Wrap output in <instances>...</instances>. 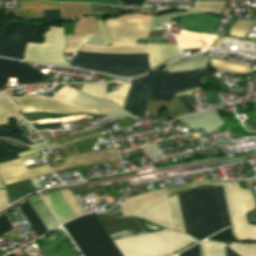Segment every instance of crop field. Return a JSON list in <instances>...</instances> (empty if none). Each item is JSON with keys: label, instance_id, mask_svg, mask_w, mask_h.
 Segmentation results:
<instances>
[{"label": "crop field", "instance_id": "1", "mask_svg": "<svg viewBox=\"0 0 256 256\" xmlns=\"http://www.w3.org/2000/svg\"><path fill=\"white\" fill-rule=\"evenodd\" d=\"M149 21L134 20L106 23L112 46L85 44L79 51L97 53H148L147 45H137V38H146ZM150 69L178 57L173 46L148 45ZM77 52L70 65L114 75H136L149 70L148 54L117 55Z\"/></svg>", "mask_w": 256, "mask_h": 256}, {"label": "crop field", "instance_id": "2", "mask_svg": "<svg viewBox=\"0 0 256 256\" xmlns=\"http://www.w3.org/2000/svg\"><path fill=\"white\" fill-rule=\"evenodd\" d=\"M178 198L187 234L203 240L224 229L215 187L200 186Z\"/></svg>", "mask_w": 256, "mask_h": 256}, {"label": "crop field", "instance_id": "3", "mask_svg": "<svg viewBox=\"0 0 256 256\" xmlns=\"http://www.w3.org/2000/svg\"><path fill=\"white\" fill-rule=\"evenodd\" d=\"M83 256H122L94 214L63 225Z\"/></svg>", "mask_w": 256, "mask_h": 256}, {"label": "crop field", "instance_id": "4", "mask_svg": "<svg viewBox=\"0 0 256 256\" xmlns=\"http://www.w3.org/2000/svg\"><path fill=\"white\" fill-rule=\"evenodd\" d=\"M194 242L195 239L170 230L114 241L123 256H165Z\"/></svg>", "mask_w": 256, "mask_h": 256}, {"label": "crop field", "instance_id": "5", "mask_svg": "<svg viewBox=\"0 0 256 256\" xmlns=\"http://www.w3.org/2000/svg\"><path fill=\"white\" fill-rule=\"evenodd\" d=\"M204 72H211L209 68L170 74L166 69L156 74L149 101H170L176 93L200 88L197 78ZM189 113L196 112L191 101L185 96L177 97Z\"/></svg>", "mask_w": 256, "mask_h": 256}, {"label": "crop field", "instance_id": "6", "mask_svg": "<svg viewBox=\"0 0 256 256\" xmlns=\"http://www.w3.org/2000/svg\"><path fill=\"white\" fill-rule=\"evenodd\" d=\"M123 216L138 218L174 228L166 190L136 196L121 203Z\"/></svg>", "mask_w": 256, "mask_h": 256}, {"label": "crop field", "instance_id": "7", "mask_svg": "<svg viewBox=\"0 0 256 256\" xmlns=\"http://www.w3.org/2000/svg\"><path fill=\"white\" fill-rule=\"evenodd\" d=\"M65 43L63 29L49 26L43 44H27L25 60L68 65L62 53Z\"/></svg>", "mask_w": 256, "mask_h": 256}, {"label": "crop field", "instance_id": "8", "mask_svg": "<svg viewBox=\"0 0 256 256\" xmlns=\"http://www.w3.org/2000/svg\"><path fill=\"white\" fill-rule=\"evenodd\" d=\"M40 24L25 25L9 21L2 34L1 56L24 59L27 42H34L41 29Z\"/></svg>", "mask_w": 256, "mask_h": 256}, {"label": "crop field", "instance_id": "9", "mask_svg": "<svg viewBox=\"0 0 256 256\" xmlns=\"http://www.w3.org/2000/svg\"><path fill=\"white\" fill-rule=\"evenodd\" d=\"M21 106L22 113L30 112H55V113H73V112H87L102 114L97 109L81 107L73 103L53 99L50 97L29 94L24 97H13Z\"/></svg>", "mask_w": 256, "mask_h": 256}, {"label": "crop field", "instance_id": "10", "mask_svg": "<svg viewBox=\"0 0 256 256\" xmlns=\"http://www.w3.org/2000/svg\"><path fill=\"white\" fill-rule=\"evenodd\" d=\"M196 185L224 186L232 224H247L241 190L237 182H201L195 184L182 185L171 188L169 190V194L187 188H191Z\"/></svg>", "mask_w": 256, "mask_h": 256}, {"label": "crop field", "instance_id": "11", "mask_svg": "<svg viewBox=\"0 0 256 256\" xmlns=\"http://www.w3.org/2000/svg\"><path fill=\"white\" fill-rule=\"evenodd\" d=\"M9 76L16 78L15 84L43 82L45 74L23 64L0 60V87L7 86Z\"/></svg>", "mask_w": 256, "mask_h": 256}, {"label": "crop field", "instance_id": "12", "mask_svg": "<svg viewBox=\"0 0 256 256\" xmlns=\"http://www.w3.org/2000/svg\"><path fill=\"white\" fill-rule=\"evenodd\" d=\"M45 173H51L46 165L27 170L20 159L0 164V177L4 185Z\"/></svg>", "mask_w": 256, "mask_h": 256}, {"label": "crop field", "instance_id": "13", "mask_svg": "<svg viewBox=\"0 0 256 256\" xmlns=\"http://www.w3.org/2000/svg\"><path fill=\"white\" fill-rule=\"evenodd\" d=\"M114 161L117 160L114 153V149L111 148L103 151L91 152L87 154L70 157L66 161H64L60 167L52 168V170L58 171L66 168L90 164L109 163Z\"/></svg>", "mask_w": 256, "mask_h": 256}, {"label": "crop field", "instance_id": "14", "mask_svg": "<svg viewBox=\"0 0 256 256\" xmlns=\"http://www.w3.org/2000/svg\"><path fill=\"white\" fill-rule=\"evenodd\" d=\"M218 21L219 18L208 14H196L181 17L179 23L186 30L214 34Z\"/></svg>", "mask_w": 256, "mask_h": 256}, {"label": "crop field", "instance_id": "15", "mask_svg": "<svg viewBox=\"0 0 256 256\" xmlns=\"http://www.w3.org/2000/svg\"><path fill=\"white\" fill-rule=\"evenodd\" d=\"M20 11L60 9L59 3L39 0L18 1ZM21 18H44L42 11L20 12Z\"/></svg>", "mask_w": 256, "mask_h": 256}, {"label": "crop field", "instance_id": "16", "mask_svg": "<svg viewBox=\"0 0 256 256\" xmlns=\"http://www.w3.org/2000/svg\"><path fill=\"white\" fill-rule=\"evenodd\" d=\"M96 217L101 222L108 234L126 228L127 231L143 232L137 222L131 219L114 218L105 215L96 214Z\"/></svg>", "mask_w": 256, "mask_h": 256}, {"label": "crop field", "instance_id": "17", "mask_svg": "<svg viewBox=\"0 0 256 256\" xmlns=\"http://www.w3.org/2000/svg\"><path fill=\"white\" fill-rule=\"evenodd\" d=\"M44 199L49 204L55 215L58 217L60 222H65L68 219L74 217V214L65 203L59 192L48 194L44 196Z\"/></svg>", "mask_w": 256, "mask_h": 256}, {"label": "crop field", "instance_id": "18", "mask_svg": "<svg viewBox=\"0 0 256 256\" xmlns=\"http://www.w3.org/2000/svg\"><path fill=\"white\" fill-rule=\"evenodd\" d=\"M73 103L83 105V106H86V107L98 108L99 111H101L104 114L110 113V112H113V111H116V110H120V108H118L117 106L113 105L112 103H110L108 101H103V100H99V99L90 98V97H88L86 95H83L81 93L75 98Z\"/></svg>", "mask_w": 256, "mask_h": 256}, {"label": "crop field", "instance_id": "19", "mask_svg": "<svg viewBox=\"0 0 256 256\" xmlns=\"http://www.w3.org/2000/svg\"><path fill=\"white\" fill-rule=\"evenodd\" d=\"M11 118L16 121L23 120L18 111V106L9 97H6L0 102V124L6 123Z\"/></svg>", "mask_w": 256, "mask_h": 256}, {"label": "crop field", "instance_id": "20", "mask_svg": "<svg viewBox=\"0 0 256 256\" xmlns=\"http://www.w3.org/2000/svg\"><path fill=\"white\" fill-rule=\"evenodd\" d=\"M145 78L132 81V84L125 102V106H124V109L126 111L134 113L136 106L138 104V100L142 91L143 84L145 82Z\"/></svg>", "mask_w": 256, "mask_h": 256}, {"label": "crop field", "instance_id": "21", "mask_svg": "<svg viewBox=\"0 0 256 256\" xmlns=\"http://www.w3.org/2000/svg\"><path fill=\"white\" fill-rule=\"evenodd\" d=\"M63 20L73 19L81 15L90 14L89 4L61 3Z\"/></svg>", "mask_w": 256, "mask_h": 256}, {"label": "crop field", "instance_id": "22", "mask_svg": "<svg viewBox=\"0 0 256 256\" xmlns=\"http://www.w3.org/2000/svg\"><path fill=\"white\" fill-rule=\"evenodd\" d=\"M211 65L218 70H222L228 73H237L241 75H247L254 71L253 69L245 65H240L232 62H225L216 59H211Z\"/></svg>", "mask_w": 256, "mask_h": 256}, {"label": "crop field", "instance_id": "23", "mask_svg": "<svg viewBox=\"0 0 256 256\" xmlns=\"http://www.w3.org/2000/svg\"><path fill=\"white\" fill-rule=\"evenodd\" d=\"M28 221L31 224L32 229L35 231L37 237L43 235L45 232H47V229L39 219V217L36 215L32 207L29 205V203H25L21 206H19Z\"/></svg>", "mask_w": 256, "mask_h": 256}, {"label": "crop field", "instance_id": "24", "mask_svg": "<svg viewBox=\"0 0 256 256\" xmlns=\"http://www.w3.org/2000/svg\"><path fill=\"white\" fill-rule=\"evenodd\" d=\"M44 225L48 228L58 223L56 219L53 217L49 209L46 207L42 199L30 202Z\"/></svg>", "mask_w": 256, "mask_h": 256}, {"label": "crop field", "instance_id": "25", "mask_svg": "<svg viewBox=\"0 0 256 256\" xmlns=\"http://www.w3.org/2000/svg\"><path fill=\"white\" fill-rule=\"evenodd\" d=\"M200 36V33L183 31L177 40L181 49L197 48Z\"/></svg>", "mask_w": 256, "mask_h": 256}, {"label": "crop field", "instance_id": "26", "mask_svg": "<svg viewBox=\"0 0 256 256\" xmlns=\"http://www.w3.org/2000/svg\"><path fill=\"white\" fill-rule=\"evenodd\" d=\"M256 21L238 20L233 24L230 35L234 37L246 38Z\"/></svg>", "mask_w": 256, "mask_h": 256}, {"label": "crop field", "instance_id": "27", "mask_svg": "<svg viewBox=\"0 0 256 256\" xmlns=\"http://www.w3.org/2000/svg\"><path fill=\"white\" fill-rule=\"evenodd\" d=\"M93 34L67 35L68 45L64 52L75 53L77 49L87 42Z\"/></svg>", "mask_w": 256, "mask_h": 256}, {"label": "crop field", "instance_id": "28", "mask_svg": "<svg viewBox=\"0 0 256 256\" xmlns=\"http://www.w3.org/2000/svg\"><path fill=\"white\" fill-rule=\"evenodd\" d=\"M201 256H224V245L211 242H202Z\"/></svg>", "mask_w": 256, "mask_h": 256}, {"label": "crop field", "instance_id": "29", "mask_svg": "<svg viewBox=\"0 0 256 256\" xmlns=\"http://www.w3.org/2000/svg\"><path fill=\"white\" fill-rule=\"evenodd\" d=\"M169 201H170L172 215L175 222L176 231L185 232L177 196H173L169 198Z\"/></svg>", "mask_w": 256, "mask_h": 256}, {"label": "crop field", "instance_id": "30", "mask_svg": "<svg viewBox=\"0 0 256 256\" xmlns=\"http://www.w3.org/2000/svg\"><path fill=\"white\" fill-rule=\"evenodd\" d=\"M107 83L103 84H84L81 91L95 97L103 98L105 97ZM80 91V92H81Z\"/></svg>", "mask_w": 256, "mask_h": 256}, {"label": "crop field", "instance_id": "31", "mask_svg": "<svg viewBox=\"0 0 256 256\" xmlns=\"http://www.w3.org/2000/svg\"><path fill=\"white\" fill-rule=\"evenodd\" d=\"M60 194L62 195L66 203L69 205L75 216L83 214V211L80 205L78 204L75 196L72 195L69 189L60 191Z\"/></svg>", "mask_w": 256, "mask_h": 256}, {"label": "crop field", "instance_id": "32", "mask_svg": "<svg viewBox=\"0 0 256 256\" xmlns=\"http://www.w3.org/2000/svg\"><path fill=\"white\" fill-rule=\"evenodd\" d=\"M216 189H217V193H218V198H219V203H220V207H221L224 226L227 227V226H230L231 223H230L228 208H227V204H226L224 189H223V187H216Z\"/></svg>", "mask_w": 256, "mask_h": 256}, {"label": "crop field", "instance_id": "33", "mask_svg": "<svg viewBox=\"0 0 256 256\" xmlns=\"http://www.w3.org/2000/svg\"><path fill=\"white\" fill-rule=\"evenodd\" d=\"M230 246L242 256H256V244H236L232 242Z\"/></svg>", "mask_w": 256, "mask_h": 256}, {"label": "crop field", "instance_id": "34", "mask_svg": "<svg viewBox=\"0 0 256 256\" xmlns=\"http://www.w3.org/2000/svg\"><path fill=\"white\" fill-rule=\"evenodd\" d=\"M78 94L79 91L64 85L53 97L72 102Z\"/></svg>", "mask_w": 256, "mask_h": 256}, {"label": "crop field", "instance_id": "35", "mask_svg": "<svg viewBox=\"0 0 256 256\" xmlns=\"http://www.w3.org/2000/svg\"><path fill=\"white\" fill-rule=\"evenodd\" d=\"M130 83H128L126 85L123 84V89H122L121 93H107L106 98L113 101L114 103H116L120 107H123V104H124V101H125Z\"/></svg>", "mask_w": 256, "mask_h": 256}, {"label": "crop field", "instance_id": "36", "mask_svg": "<svg viewBox=\"0 0 256 256\" xmlns=\"http://www.w3.org/2000/svg\"><path fill=\"white\" fill-rule=\"evenodd\" d=\"M224 2H195L194 8L216 12L219 14Z\"/></svg>", "mask_w": 256, "mask_h": 256}, {"label": "crop field", "instance_id": "37", "mask_svg": "<svg viewBox=\"0 0 256 256\" xmlns=\"http://www.w3.org/2000/svg\"><path fill=\"white\" fill-rule=\"evenodd\" d=\"M85 19H86V23H87V27H88L89 33H92V31H93V33H96L93 16H90V17H89L90 23H91V27H92V31H91V27H90V23H89L88 17H85ZM85 19H84V17L82 18V21H83V29H84V33H88L87 27H86V23H85ZM80 21H81V18H80ZM95 24H96V22H95ZM81 29H82V22H81ZM96 30H97V33H99L97 26H96ZM74 33H75V34L81 33L79 20H78V22H77V24H76V26H75ZM82 33H83V30H82Z\"/></svg>", "mask_w": 256, "mask_h": 256}, {"label": "crop field", "instance_id": "38", "mask_svg": "<svg viewBox=\"0 0 256 256\" xmlns=\"http://www.w3.org/2000/svg\"><path fill=\"white\" fill-rule=\"evenodd\" d=\"M151 88L152 87L144 86V89H143V92H142V95L140 97L139 104H138V107H137V110H136V114H139V115L142 116L143 111H144V109L146 107V104L148 102V98H149Z\"/></svg>", "mask_w": 256, "mask_h": 256}, {"label": "crop field", "instance_id": "39", "mask_svg": "<svg viewBox=\"0 0 256 256\" xmlns=\"http://www.w3.org/2000/svg\"><path fill=\"white\" fill-rule=\"evenodd\" d=\"M232 234L236 239L249 240L248 226H236L232 229Z\"/></svg>", "mask_w": 256, "mask_h": 256}, {"label": "crop field", "instance_id": "40", "mask_svg": "<svg viewBox=\"0 0 256 256\" xmlns=\"http://www.w3.org/2000/svg\"><path fill=\"white\" fill-rule=\"evenodd\" d=\"M241 190H242V194H243L245 211H246V214H247L248 212H250L251 210L256 208V206H255V203H254L253 196L249 192V190H244V189H241Z\"/></svg>", "mask_w": 256, "mask_h": 256}, {"label": "crop field", "instance_id": "41", "mask_svg": "<svg viewBox=\"0 0 256 256\" xmlns=\"http://www.w3.org/2000/svg\"><path fill=\"white\" fill-rule=\"evenodd\" d=\"M102 45L111 44L108 30L103 21H97Z\"/></svg>", "mask_w": 256, "mask_h": 256}, {"label": "crop field", "instance_id": "42", "mask_svg": "<svg viewBox=\"0 0 256 256\" xmlns=\"http://www.w3.org/2000/svg\"><path fill=\"white\" fill-rule=\"evenodd\" d=\"M208 239L230 240V241H234V242H240L239 240H236L233 238V236L230 232V228L225 229V230L211 236Z\"/></svg>", "mask_w": 256, "mask_h": 256}, {"label": "crop field", "instance_id": "43", "mask_svg": "<svg viewBox=\"0 0 256 256\" xmlns=\"http://www.w3.org/2000/svg\"><path fill=\"white\" fill-rule=\"evenodd\" d=\"M0 137H9V138L18 140V141H20V142H22L24 144L33 145V143L31 141H29L28 139H26V138H24V137H22L20 135H17V134H14V133L2 130V129H0Z\"/></svg>", "mask_w": 256, "mask_h": 256}, {"label": "crop field", "instance_id": "44", "mask_svg": "<svg viewBox=\"0 0 256 256\" xmlns=\"http://www.w3.org/2000/svg\"><path fill=\"white\" fill-rule=\"evenodd\" d=\"M46 20L49 22H61L60 10L43 11Z\"/></svg>", "mask_w": 256, "mask_h": 256}, {"label": "crop field", "instance_id": "45", "mask_svg": "<svg viewBox=\"0 0 256 256\" xmlns=\"http://www.w3.org/2000/svg\"><path fill=\"white\" fill-rule=\"evenodd\" d=\"M91 10L124 13V8L91 4Z\"/></svg>", "mask_w": 256, "mask_h": 256}, {"label": "crop field", "instance_id": "46", "mask_svg": "<svg viewBox=\"0 0 256 256\" xmlns=\"http://www.w3.org/2000/svg\"><path fill=\"white\" fill-rule=\"evenodd\" d=\"M19 157L21 158V160L24 162L30 158H34V157H39L40 154L38 152V149L37 148H32V149H29L27 151H24L20 154H18Z\"/></svg>", "mask_w": 256, "mask_h": 256}, {"label": "crop field", "instance_id": "47", "mask_svg": "<svg viewBox=\"0 0 256 256\" xmlns=\"http://www.w3.org/2000/svg\"><path fill=\"white\" fill-rule=\"evenodd\" d=\"M12 228L13 226L7 220V215L5 214L1 216L0 217V236Z\"/></svg>", "mask_w": 256, "mask_h": 256}, {"label": "crop field", "instance_id": "48", "mask_svg": "<svg viewBox=\"0 0 256 256\" xmlns=\"http://www.w3.org/2000/svg\"><path fill=\"white\" fill-rule=\"evenodd\" d=\"M1 141L5 142L6 144L16 148L17 150H25L27 149L24 145L20 144L19 142L17 141H14V140H8V139H0ZM3 149H8L6 148L5 146L1 145L0 144V150H3Z\"/></svg>", "mask_w": 256, "mask_h": 256}, {"label": "crop field", "instance_id": "49", "mask_svg": "<svg viewBox=\"0 0 256 256\" xmlns=\"http://www.w3.org/2000/svg\"><path fill=\"white\" fill-rule=\"evenodd\" d=\"M51 1H70V2H89V3H99V4H114V0H51Z\"/></svg>", "mask_w": 256, "mask_h": 256}, {"label": "crop field", "instance_id": "50", "mask_svg": "<svg viewBox=\"0 0 256 256\" xmlns=\"http://www.w3.org/2000/svg\"><path fill=\"white\" fill-rule=\"evenodd\" d=\"M18 158V155L13 151H2L0 152V162L7 161L10 159Z\"/></svg>", "mask_w": 256, "mask_h": 256}, {"label": "crop field", "instance_id": "51", "mask_svg": "<svg viewBox=\"0 0 256 256\" xmlns=\"http://www.w3.org/2000/svg\"><path fill=\"white\" fill-rule=\"evenodd\" d=\"M179 256H198V244L183 251L182 253L179 254Z\"/></svg>", "mask_w": 256, "mask_h": 256}, {"label": "crop field", "instance_id": "52", "mask_svg": "<svg viewBox=\"0 0 256 256\" xmlns=\"http://www.w3.org/2000/svg\"><path fill=\"white\" fill-rule=\"evenodd\" d=\"M59 126H61V124L60 122H57V123H50V124L35 125L34 128H36L37 130H42V129H51Z\"/></svg>", "mask_w": 256, "mask_h": 256}, {"label": "crop field", "instance_id": "53", "mask_svg": "<svg viewBox=\"0 0 256 256\" xmlns=\"http://www.w3.org/2000/svg\"><path fill=\"white\" fill-rule=\"evenodd\" d=\"M101 133L98 132V133H95V134H92V135H89V136H85V137H82V138H79V139H76V140H73V141H70V142H66V143H63V144H60V145H56V147H63L67 144H70V143H74V142H77V141H80V140H85V139H89V137H96V136H100Z\"/></svg>", "mask_w": 256, "mask_h": 256}, {"label": "crop field", "instance_id": "54", "mask_svg": "<svg viewBox=\"0 0 256 256\" xmlns=\"http://www.w3.org/2000/svg\"><path fill=\"white\" fill-rule=\"evenodd\" d=\"M7 205H8V203H7L5 191L0 190V209L4 208Z\"/></svg>", "mask_w": 256, "mask_h": 256}, {"label": "crop field", "instance_id": "55", "mask_svg": "<svg viewBox=\"0 0 256 256\" xmlns=\"http://www.w3.org/2000/svg\"><path fill=\"white\" fill-rule=\"evenodd\" d=\"M121 1H123L127 5L142 6V4H143V0H121Z\"/></svg>", "mask_w": 256, "mask_h": 256}, {"label": "crop field", "instance_id": "56", "mask_svg": "<svg viewBox=\"0 0 256 256\" xmlns=\"http://www.w3.org/2000/svg\"><path fill=\"white\" fill-rule=\"evenodd\" d=\"M250 240H256V226H249Z\"/></svg>", "mask_w": 256, "mask_h": 256}, {"label": "crop field", "instance_id": "57", "mask_svg": "<svg viewBox=\"0 0 256 256\" xmlns=\"http://www.w3.org/2000/svg\"><path fill=\"white\" fill-rule=\"evenodd\" d=\"M225 256H239L233 250L225 246Z\"/></svg>", "mask_w": 256, "mask_h": 256}, {"label": "crop field", "instance_id": "58", "mask_svg": "<svg viewBox=\"0 0 256 256\" xmlns=\"http://www.w3.org/2000/svg\"><path fill=\"white\" fill-rule=\"evenodd\" d=\"M251 222H256V211L248 215Z\"/></svg>", "mask_w": 256, "mask_h": 256}, {"label": "crop field", "instance_id": "59", "mask_svg": "<svg viewBox=\"0 0 256 256\" xmlns=\"http://www.w3.org/2000/svg\"><path fill=\"white\" fill-rule=\"evenodd\" d=\"M5 97H6V96L0 94V101H1L2 99H4Z\"/></svg>", "mask_w": 256, "mask_h": 256}, {"label": "crop field", "instance_id": "60", "mask_svg": "<svg viewBox=\"0 0 256 256\" xmlns=\"http://www.w3.org/2000/svg\"><path fill=\"white\" fill-rule=\"evenodd\" d=\"M2 30H0V39H1Z\"/></svg>", "mask_w": 256, "mask_h": 256}, {"label": "crop field", "instance_id": "61", "mask_svg": "<svg viewBox=\"0 0 256 256\" xmlns=\"http://www.w3.org/2000/svg\"><path fill=\"white\" fill-rule=\"evenodd\" d=\"M8 256H16L15 254H10V255H8Z\"/></svg>", "mask_w": 256, "mask_h": 256}, {"label": "crop field", "instance_id": "62", "mask_svg": "<svg viewBox=\"0 0 256 256\" xmlns=\"http://www.w3.org/2000/svg\"><path fill=\"white\" fill-rule=\"evenodd\" d=\"M76 256H79V255H76Z\"/></svg>", "mask_w": 256, "mask_h": 256}, {"label": "crop field", "instance_id": "63", "mask_svg": "<svg viewBox=\"0 0 256 256\" xmlns=\"http://www.w3.org/2000/svg\"><path fill=\"white\" fill-rule=\"evenodd\" d=\"M0 185H2V184L0 183Z\"/></svg>", "mask_w": 256, "mask_h": 256}]
</instances>
